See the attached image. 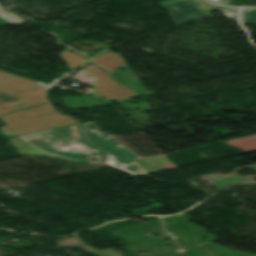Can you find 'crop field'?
Segmentation results:
<instances>
[{
	"label": "crop field",
	"instance_id": "34b2d1b8",
	"mask_svg": "<svg viewBox=\"0 0 256 256\" xmlns=\"http://www.w3.org/2000/svg\"><path fill=\"white\" fill-rule=\"evenodd\" d=\"M85 72H88L93 78L87 79L83 77L82 74ZM73 79L92 85L89 92L104 98L121 100L137 96V94L119 86L110 79L108 73L100 70L93 64L87 65Z\"/></svg>",
	"mask_w": 256,
	"mask_h": 256
},
{
	"label": "crop field",
	"instance_id": "5a996713",
	"mask_svg": "<svg viewBox=\"0 0 256 256\" xmlns=\"http://www.w3.org/2000/svg\"><path fill=\"white\" fill-rule=\"evenodd\" d=\"M82 43H93V44H95V45H97V46H101V47H104V48L108 47L107 45H105V44H103V43H94V42H90V41H84V42H82Z\"/></svg>",
	"mask_w": 256,
	"mask_h": 256
},
{
	"label": "crop field",
	"instance_id": "3316defc",
	"mask_svg": "<svg viewBox=\"0 0 256 256\" xmlns=\"http://www.w3.org/2000/svg\"><path fill=\"white\" fill-rule=\"evenodd\" d=\"M171 1H174V0H165V1L161 2V3H159V4L163 5V4H166V3L171 2Z\"/></svg>",
	"mask_w": 256,
	"mask_h": 256
},
{
	"label": "crop field",
	"instance_id": "d8731c3e",
	"mask_svg": "<svg viewBox=\"0 0 256 256\" xmlns=\"http://www.w3.org/2000/svg\"><path fill=\"white\" fill-rule=\"evenodd\" d=\"M241 19L244 22L256 24V9H244L242 10Z\"/></svg>",
	"mask_w": 256,
	"mask_h": 256
},
{
	"label": "crop field",
	"instance_id": "e52e79f7",
	"mask_svg": "<svg viewBox=\"0 0 256 256\" xmlns=\"http://www.w3.org/2000/svg\"><path fill=\"white\" fill-rule=\"evenodd\" d=\"M3 9L0 6V17H2L4 20L10 22L11 24H17V23H20L23 21H27V20H23V19L19 18L18 16L14 15L12 13H9Z\"/></svg>",
	"mask_w": 256,
	"mask_h": 256
},
{
	"label": "crop field",
	"instance_id": "f4fd0767",
	"mask_svg": "<svg viewBox=\"0 0 256 256\" xmlns=\"http://www.w3.org/2000/svg\"><path fill=\"white\" fill-rule=\"evenodd\" d=\"M91 62L100 66L106 72H110L124 63L118 54L112 53L110 51L102 53L98 57L91 60Z\"/></svg>",
	"mask_w": 256,
	"mask_h": 256
},
{
	"label": "crop field",
	"instance_id": "8a807250",
	"mask_svg": "<svg viewBox=\"0 0 256 256\" xmlns=\"http://www.w3.org/2000/svg\"><path fill=\"white\" fill-rule=\"evenodd\" d=\"M25 142L49 154H60L71 160H78L83 155L98 152L105 156L107 164L132 174L147 172L136 161L125 164L105 151L85 140L80 124H74L54 130L20 137Z\"/></svg>",
	"mask_w": 256,
	"mask_h": 256
},
{
	"label": "crop field",
	"instance_id": "412701ff",
	"mask_svg": "<svg viewBox=\"0 0 256 256\" xmlns=\"http://www.w3.org/2000/svg\"><path fill=\"white\" fill-rule=\"evenodd\" d=\"M88 123L93 126L94 130L88 129ZM82 125L87 134L88 140L91 143L111 153L124 162H129L136 159V155L113 139L108 133L101 132L99 130L100 127L97 126L93 121L84 122Z\"/></svg>",
	"mask_w": 256,
	"mask_h": 256
},
{
	"label": "crop field",
	"instance_id": "dd49c442",
	"mask_svg": "<svg viewBox=\"0 0 256 256\" xmlns=\"http://www.w3.org/2000/svg\"><path fill=\"white\" fill-rule=\"evenodd\" d=\"M68 51L70 50H65L62 53L59 54V56L67 63V67H69L71 70L74 69L75 67L79 66L83 62L87 61L77 54H71Z\"/></svg>",
	"mask_w": 256,
	"mask_h": 256
},
{
	"label": "crop field",
	"instance_id": "ac0d7876",
	"mask_svg": "<svg viewBox=\"0 0 256 256\" xmlns=\"http://www.w3.org/2000/svg\"><path fill=\"white\" fill-rule=\"evenodd\" d=\"M163 7L168 10L177 25L198 20L214 9L229 15L231 18H237L234 8L218 6L205 0H177L163 5Z\"/></svg>",
	"mask_w": 256,
	"mask_h": 256
},
{
	"label": "crop field",
	"instance_id": "28ad6ade",
	"mask_svg": "<svg viewBox=\"0 0 256 256\" xmlns=\"http://www.w3.org/2000/svg\"><path fill=\"white\" fill-rule=\"evenodd\" d=\"M79 54L82 55L83 57L89 59L88 57H86V53H85V52H81V53H79Z\"/></svg>",
	"mask_w": 256,
	"mask_h": 256
}]
</instances>
